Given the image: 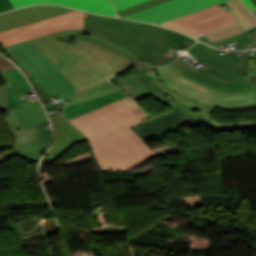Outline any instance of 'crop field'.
I'll list each match as a JSON object with an SVG mask.
<instances>
[{"mask_svg": "<svg viewBox=\"0 0 256 256\" xmlns=\"http://www.w3.org/2000/svg\"><path fill=\"white\" fill-rule=\"evenodd\" d=\"M141 120L117 100L69 121L87 136L101 171H127L156 157L154 151L128 127Z\"/></svg>", "mask_w": 256, "mask_h": 256, "instance_id": "obj_1", "label": "crop field"}, {"mask_svg": "<svg viewBox=\"0 0 256 256\" xmlns=\"http://www.w3.org/2000/svg\"><path fill=\"white\" fill-rule=\"evenodd\" d=\"M79 91L97 86L103 80L126 70L128 58L94 42L75 40L68 44L47 35L31 40Z\"/></svg>", "mask_w": 256, "mask_h": 256, "instance_id": "obj_2", "label": "crop field"}, {"mask_svg": "<svg viewBox=\"0 0 256 256\" xmlns=\"http://www.w3.org/2000/svg\"><path fill=\"white\" fill-rule=\"evenodd\" d=\"M84 33L100 36L153 65H166L179 55L171 50L190 47L195 40L151 24L85 13ZM153 36V37H151Z\"/></svg>", "mask_w": 256, "mask_h": 256, "instance_id": "obj_3", "label": "crop field"}, {"mask_svg": "<svg viewBox=\"0 0 256 256\" xmlns=\"http://www.w3.org/2000/svg\"><path fill=\"white\" fill-rule=\"evenodd\" d=\"M134 66L137 70L134 75L131 73L126 78L111 82L120 87L135 101L151 96L157 102L164 104L165 106L171 107L172 109L175 107L179 108L189 116L193 117L195 121L211 130L214 125L224 128L232 127V131L256 129V121L228 125L214 121L210 117L216 107L195 102L169 90L163 85L154 67L141 62H136ZM251 82L256 89V79H251Z\"/></svg>", "mask_w": 256, "mask_h": 256, "instance_id": "obj_4", "label": "crop field"}, {"mask_svg": "<svg viewBox=\"0 0 256 256\" xmlns=\"http://www.w3.org/2000/svg\"><path fill=\"white\" fill-rule=\"evenodd\" d=\"M219 2H227L232 7V14L238 19L239 23L228 29L205 35L210 42L230 38L256 26V17L240 0H173L129 15L127 18L160 24L176 17L202 10Z\"/></svg>", "mask_w": 256, "mask_h": 256, "instance_id": "obj_5", "label": "crop field"}, {"mask_svg": "<svg viewBox=\"0 0 256 256\" xmlns=\"http://www.w3.org/2000/svg\"><path fill=\"white\" fill-rule=\"evenodd\" d=\"M5 122L16 140L14 151L36 162L51 139V132L42 126L48 120L40 103L18 110H7Z\"/></svg>", "mask_w": 256, "mask_h": 256, "instance_id": "obj_6", "label": "crop field"}, {"mask_svg": "<svg viewBox=\"0 0 256 256\" xmlns=\"http://www.w3.org/2000/svg\"><path fill=\"white\" fill-rule=\"evenodd\" d=\"M155 68L165 86L195 101L214 105L222 109H238L256 106L255 89L246 93L235 94L217 92L184 77L173 64Z\"/></svg>", "mask_w": 256, "mask_h": 256, "instance_id": "obj_7", "label": "crop field"}, {"mask_svg": "<svg viewBox=\"0 0 256 256\" xmlns=\"http://www.w3.org/2000/svg\"><path fill=\"white\" fill-rule=\"evenodd\" d=\"M83 16L84 13L75 11L1 32L0 44L5 47L61 30L83 29Z\"/></svg>", "mask_w": 256, "mask_h": 256, "instance_id": "obj_8", "label": "crop field"}, {"mask_svg": "<svg viewBox=\"0 0 256 256\" xmlns=\"http://www.w3.org/2000/svg\"><path fill=\"white\" fill-rule=\"evenodd\" d=\"M183 19V20H181ZM236 20L217 4L202 11L188 14L160 25L175 28L192 36L219 30L233 25Z\"/></svg>", "mask_w": 256, "mask_h": 256, "instance_id": "obj_9", "label": "crop field"}, {"mask_svg": "<svg viewBox=\"0 0 256 256\" xmlns=\"http://www.w3.org/2000/svg\"><path fill=\"white\" fill-rule=\"evenodd\" d=\"M178 70L186 77L209 86L217 91L227 93L246 92L253 89L250 79H243L241 81L228 82L221 80L222 72L210 68L203 64L193 70L191 65L187 64L183 58H178L172 62Z\"/></svg>", "mask_w": 256, "mask_h": 256, "instance_id": "obj_10", "label": "crop field"}, {"mask_svg": "<svg viewBox=\"0 0 256 256\" xmlns=\"http://www.w3.org/2000/svg\"><path fill=\"white\" fill-rule=\"evenodd\" d=\"M3 49L25 71L28 78L34 79L57 71V68L30 40Z\"/></svg>", "mask_w": 256, "mask_h": 256, "instance_id": "obj_11", "label": "crop field"}, {"mask_svg": "<svg viewBox=\"0 0 256 256\" xmlns=\"http://www.w3.org/2000/svg\"><path fill=\"white\" fill-rule=\"evenodd\" d=\"M71 11L75 10L53 5H44L28 7L21 10L2 14L0 15V32L31 22L68 13Z\"/></svg>", "mask_w": 256, "mask_h": 256, "instance_id": "obj_12", "label": "crop field"}, {"mask_svg": "<svg viewBox=\"0 0 256 256\" xmlns=\"http://www.w3.org/2000/svg\"><path fill=\"white\" fill-rule=\"evenodd\" d=\"M51 118L56 128V141L50 149L46 164L54 162L74 144L86 140L85 136L73 127L63 114Z\"/></svg>", "mask_w": 256, "mask_h": 256, "instance_id": "obj_13", "label": "crop field"}, {"mask_svg": "<svg viewBox=\"0 0 256 256\" xmlns=\"http://www.w3.org/2000/svg\"><path fill=\"white\" fill-rule=\"evenodd\" d=\"M14 8L37 3H57L99 14L115 16L113 4L108 0H10Z\"/></svg>", "mask_w": 256, "mask_h": 256, "instance_id": "obj_14", "label": "crop field"}, {"mask_svg": "<svg viewBox=\"0 0 256 256\" xmlns=\"http://www.w3.org/2000/svg\"><path fill=\"white\" fill-rule=\"evenodd\" d=\"M0 77L6 84L8 109H14L13 104L27 102V99L21 93L30 92L32 90L17 68L0 72ZM22 98L25 99L23 100Z\"/></svg>", "mask_w": 256, "mask_h": 256, "instance_id": "obj_15", "label": "crop field"}, {"mask_svg": "<svg viewBox=\"0 0 256 256\" xmlns=\"http://www.w3.org/2000/svg\"><path fill=\"white\" fill-rule=\"evenodd\" d=\"M47 95L57 97L60 100L70 95L79 93L64 77L57 71L33 80Z\"/></svg>", "mask_w": 256, "mask_h": 256, "instance_id": "obj_16", "label": "crop field"}, {"mask_svg": "<svg viewBox=\"0 0 256 256\" xmlns=\"http://www.w3.org/2000/svg\"><path fill=\"white\" fill-rule=\"evenodd\" d=\"M188 51L191 52L193 56L198 60L221 71L226 70L232 64L237 62L236 56L219 55L217 50L201 44L200 42L193 45Z\"/></svg>", "mask_w": 256, "mask_h": 256, "instance_id": "obj_17", "label": "crop field"}, {"mask_svg": "<svg viewBox=\"0 0 256 256\" xmlns=\"http://www.w3.org/2000/svg\"><path fill=\"white\" fill-rule=\"evenodd\" d=\"M50 35H52L56 39L63 40V41H65L68 37L74 38V39H85V40L95 41L97 43L103 44V45H105V46H107V47L125 55L126 57H128L132 61L139 60L132 53H130V52L124 50V49H121V48L103 40L100 37L83 34V30H66V31L53 33V34H50Z\"/></svg>", "mask_w": 256, "mask_h": 256, "instance_id": "obj_18", "label": "crop field"}, {"mask_svg": "<svg viewBox=\"0 0 256 256\" xmlns=\"http://www.w3.org/2000/svg\"><path fill=\"white\" fill-rule=\"evenodd\" d=\"M250 61L238 62L223 72L222 79L234 81L243 79Z\"/></svg>", "mask_w": 256, "mask_h": 256, "instance_id": "obj_19", "label": "crop field"}, {"mask_svg": "<svg viewBox=\"0 0 256 256\" xmlns=\"http://www.w3.org/2000/svg\"><path fill=\"white\" fill-rule=\"evenodd\" d=\"M167 1H170V0H149V1H146L143 3L131 6L129 8L120 10L117 12V14L124 17L126 15L138 12L140 10H143V9H146V8H149V7H152V6L167 2Z\"/></svg>", "mask_w": 256, "mask_h": 256, "instance_id": "obj_20", "label": "crop field"}, {"mask_svg": "<svg viewBox=\"0 0 256 256\" xmlns=\"http://www.w3.org/2000/svg\"><path fill=\"white\" fill-rule=\"evenodd\" d=\"M254 30H256V29L254 28V29H252V30H250V31H246V32H244V33H242V34H239V35H237V36H234V37H232V38H230V39L222 40V41H218V42H213V43H210V42L208 41V39L205 38L204 36L198 37L197 39L202 40V41H204V42H206V43H208V44H210V45H212V46H219V45L234 43V42H236V41H238V40H240V39H243V38H245V37H248L247 34L253 32Z\"/></svg>", "mask_w": 256, "mask_h": 256, "instance_id": "obj_21", "label": "crop field"}, {"mask_svg": "<svg viewBox=\"0 0 256 256\" xmlns=\"http://www.w3.org/2000/svg\"><path fill=\"white\" fill-rule=\"evenodd\" d=\"M130 109H132L138 116H140L143 120L148 116L146 112H144L140 107H138L132 100L128 97L121 99Z\"/></svg>", "mask_w": 256, "mask_h": 256, "instance_id": "obj_22", "label": "crop field"}, {"mask_svg": "<svg viewBox=\"0 0 256 256\" xmlns=\"http://www.w3.org/2000/svg\"><path fill=\"white\" fill-rule=\"evenodd\" d=\"M116 6V10H120L131 5L146 1V0H112Z\"/></svg>", "mask_w": 256, "mask_h": 256, "instance_id": "obj_23", "label": "crop field"}, {"mask_svg": "<svg viewBox=\"0 0 256 256\" xmlns=\"http://www.w3.org/2000/svg\"><path fill=\"white\" fill-rule=\"evenodd\" d=\"M7 109V96L5 85L0 86V111H6Z\"/></svg>", "mask_w": 256, "mask_h": 256, "instance_id": "obj_24", "label": "crop field"}, {"mask_svg": "<svg viewBox=\"0 0 256 256\" xmlns=\"http://www.w3.org/2000/svg\"><path fill=\"white\" fill-rule=\"evenodd\" d=\"M256 74V62L251 60L245 78L253 77Z\"/></svg>", "mask_w": 256, "mask_h": 256, "instance_id": "obj_25", "label": "crop field"}, {"mask_svg": "<svg viewBox=\"0 0 256 256\" xmlns=\"http://www.w3.org/2000/svg\"><path fill=\"white\" fill-rule=\"evenodd\" d=\"M30 81L32 82L33 86L35 87V89L37 90L39 96L41 97V99L44 101V103L47 102H51L52 100L30 79Z\"/></svg>", "mask_w": 256, "mask_h": 256, "instance_id": "obj_26", "label": "crop field"}, {"mask_svg": "<svg viewBox=\"0 0 256 256\" xmlns=\"http://www.w3.org/2000/svg\"><path fill=\"white\" fill-rule=\"evenodd\" d=\"M13 6L9 0H0V12L12 9Z\"/></svg>", "mask_w": 256, "mask_h": 256, "instance_id": "obj_27", "label": "crop field"}, {"mask_svg": "<svg viewBox=\"0 0 256 256\" xmlns=\"http://www.w3.org/2000/svg\"><path fill=\"white\" fill-rule=\"evenodd\" d=\"M11 64L6 59H4L3 57L0 56V70H7V69L14 67Z\"/></svg>", "mask_w": 256, "mask_h": 256, "instance_id": "obj_28", "label": "crop field"}, {"mask_svg": "<svg viewBox=\"0 0 256 256\" xmlns=\"http://www.w3.org/2000/svg\"><path fill=\"white\" fill-rule=\"evenodd\" d=\"M242 1L248 6V8L251 11L256 9V6L253 4V2L251 0H242Z\"/></svg>", "mask_w": 256, "mask_h": 256, "instance_id": "obj_29", "label": "crop field"}, {"mask_svg": "<svg viewBox=\"0 0 256 256\" xmlns=\"http://www.w3.org/2000/svg\"><path fill=\"white\" fill-rule=\"evenodd\" d=\"M7 147H12L11 144H3V145H0V149L1 148H7Z\"/></svg>", "mask_w": 256, "mask_h": 256, "instance_id": "obj_30", "label": "crop field"}, {"mask_svg": "<svg viewBox=\"0 0 256 256\" xmlns=\"http://www.w3.org/2000/svg\"><path fill=\"white\" fill-rule=\"evenodd\" d=\"M254 3H255V5H256V0H252Z\"/></svg>", "mask_w": 256, "mask_h": 256, "instance_id": "obj_31", "label": "crop field"}, {"mask_svg": "<svg viewBox=\"0 0 256 256\" xmlns=\"http://www.w3.org/2000/svg\"><path fill=\"white\" fill-rule=\"evenodd\" d=\"M253 78H256V76H255V77H253Z\"/></svg>", "mask_w": 256, "mask_h": 256, "instance_id": "obj_32", "label": "crop field"}]
</instances>
